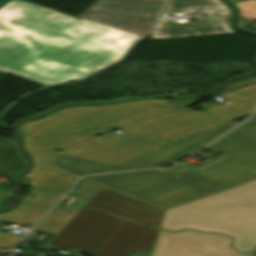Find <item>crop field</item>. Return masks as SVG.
Here are the masks:
<instances>
[{
	"mask_svg": "<svg viewBox=\"0 0 256 256\" xmlns=\"http://www.w3.org/2000/svg\"><path fill=\"white\" fill-rule=\"evenodd\" d=\"M158 231L126 220L94 256H124L135 251L153 250Z\"/></svg>",
	"mask_w": 256,
	"mask_h": 256,
	"instance_id": "d1516ede",
	"label": "crop field"
},
{
	"mask_svg": "<svg viewBox=\"0 0 256 256\" xmlns=\"http://www.w3.org/2000/svg\"><path fill=\"white\" fill-rule=\"evenodd\" d=\"M53 149H37L27 153L35 162L25 178L30 179V193L20 203L53 205L78 179L47 166Z\"/></svg>",
	"mask_w": 256,
	"mask_h": 256,
	"instance_id": "3316defc",
	"label": "crop field"
},
{
	"mask_svg": "<svg viewBox=\"0 0 256 256\" xmlns=\"http://www.w3.org/2000/svg\"><path fill=\"white\" fill-rule=\"evenodd\" d=\"M196 168H198V167L190 165V164L185 163V162H182V163H180L178 165H175L171 168H168L166 170H163V169H158V170L161 171V172L170 174L172 176L178 177V176H180L182 174H185V173H187L191 170H194Z\"/></svg>",
	"mask_w": 256,
	"mask_h": 256,
	"instance_id": "bc2a9ffb",
	"label": "crop field"
},
{
	"mask_svg": "<svg viewBox=\"0 0 256 256\" xmlns=\"http://www.w3.org/2000/svg\"><path fill=\"white\" fill-rule=\"evenodd\" d=\"M248 256H250V255H248Z\"/></svg>",
	"mask_w": 256,
	"mask_h": 256,
	"instance_id": "a9b5d70f",
	"label": "crop field"
},
{
	"mask_svg": "<svg viewBox=\"0 0 256 256\" xmlns=\"http://www.w3.org/2000/svg\"><path fill=\"white\" fill-rule=\"evenodd\" d=\"M101 186L83 179L68 195L55 207L57 208H74L84 205Z\"/></svg>",
	"mask_w": 256,
	"mask_h": 256,
	"instance_id": "733c2abd",
	"label": "crop field"
},
{
	"mask_svg": "<svg viewBox=\"0 0 256 256\" xmlns=\"http://www.w3.org/2000/svg\"><path fill=\"white\" fill-rule=\"evenodd\" d=\"M207 12L210 21L178 23L158 21L150 38H177L234 32L228 27L230 10L220 0H168L165 13Z\"/></svg>",
	"mask_w": 256,
	"mask_h": 256,
	"instance_id": "e52e79f7",
	"label": "crop field"
},
{
	"mask_svg": "<svg viewBox=\"0 0 256 256\" xmlns=\"http://www.w3.org/2000/svg\"><path fill=\"white\" fill-rule=\"evenodd\" d=\"M124 221L105 211L83 207L48 245L97 252Z\"/></svg>",
	"mask_w": 256,
	"mask_h": 256,
	"instance_id": "d8731c3e",
	"label": "crop field"
},
{
	"mask_svg": "<svg viewBox=\"0 0 256 256\" xmlns=\"http://www.w3.org/2000/svg\"><path fill=\"white\" fill-rule=\"evenodd\" d=\"M233 3L244 1V0H231Z\"/></svg>",
	"mask_w": 256,
	"mask_h": 256,
	"instance_id": "dafd665d",
	"label": "crop field"
},
{
	"mask_svg": "<svg viewBox=\"0 0 256 256\" xmlns=\"http://www.w3.org/2000/svg\"><path fill=\"white\" fill-rule=\"evenodd\" d=\"M57 210L55 208L37 224L34 230L56 235L61 228L81 209Z\"/></svg>",
	"mask_w": 256,
	"mask_h": 256,
	"instance_id": "4a817a6b",
	"label": "crop field"
},
{
	"mask_svg": "<svg viewBox=\"0 0 256 256\" xmlns=\"http://www.w3.org/2000/svg\"><path fill=\"white\" fill-rule=\"evenodd\" d=\"M137 1H147V2H158V3H164L165 0H137Z\"/></svg>",
	"mask_w": 256,
	"mask_h": 256,
	"instance_id": "92a150f3",
	"label": "crop field"
},
{
	"mask_svg": "<svg viewBox=\"0 0 256 256\" xmlns=\"http://www.w3.org/2000/svg\"><path fill=\"white\" fill-rule=\"evenodd\" d=\"M85 205L136 222L160 227L164 210L102 187Z\"/></svg>",
	"mask_w": 256,
	"mask_h": 256,
	"instance_id": "28ad6ade",
	"label": "crop field"
},
{
	"mask_svg": "<svg viewBox=\"0 0 256 256\" xmlns=\"http://www.w3.org/2000/svg\"><path fill=\"white\" fill-rule=\"evenodd\" d=\"M224 233L232 247L248 253L256 247V180L167 210L160 229Z\"/></svg>",
	"mask_w": 256,
	"mask_h": 256,
	"instance_id": "412701ff",
	"label": "crop field"
},
{
	"mask_svg": "<svg viewBox=\"0 0 256 256\" xmlns=\"http://www.w3.org/2000/svg\"><path fill=\"white\" fill-rule=\"evenodd\" d=\"M231 242L232 239L219 234L160 230L151 256H245L229 247Z\"/></svg>",
	"mask_w": 256,
	"mask_h": 256,
	"instance_id": "5a996713",
	"label": "crop field"
},
{
	"mask_svg": "<svg viewBox=\"0 0 256 256\" xmlns=\"http://www.w3.org/2000/svg\"><path fill=\"white\" fill-rule=\"evenodd\" d=\"M10 1H12V0H0V8H2L4 5L9 3Z\"/></svg>",
	"mask_w": 256,
	"mask_h": 256,
	"instance_id": "214f88e0",
	"label": "crop field"
},
{
	"mask_svg": "<svg viewBox=\"0 0 256 256\" xmlns=\"http://www.w3.org/2000/svg\"><path fill=\"white\" fill-rule=\"evenodd\" d=\"M207 149L226 157L178 178L156 170L86 177L164 210L256 179V114Z\"/></svg>",
	"mask_w": 256,
	"mask_h": 256,
	"instance_id": "ac0d7876",
	"label": "crop field"
},
{
	"mask_svg": "<svg viewBox=\"0 0 256 256\" xmlns=\"http://www.w3.org/2000/svg\"><path fill=\"white\" fill-rule=\"evenodd\" d=\"M152 99L99 107L62 109L19 125L24 150L63 147L197 102Z\"/></svg>",
	"mask_w": 256,
	"mask_h": 256,
	"instance_id": "34b2d1b8",
	"label": "crop field"
},
{
	"mask_svg": "<svg viewBox=\"0 0 256 256\" xmlns=\"http://www.w3.org/2000/svg\"><path fill=\"white\" fill-rule=\"evenodd\" d=\"M239 123L229 121L179 139L155 145L116 165L69 156L59 151L52 158L50 166L57 167L78 177L98 173L160 167L200 146L203 147L211 143Z\"/></svg>",
	"mask_w": 256,
	"mask_h": 256,
	"instance_id": "dd49c442",
	"label": "crop field"
},
{
	"mask_svg": "<svg viewBox=\"0 0 256 256\" xmlns=\"http://www.w3.org/2000/svg\"><path fill=\"white\" fill-rule=\"evenodd\" d=\"M231 102L206 110L214 115L232 120L250 114L256 107V84L221 95Z\"/></svg>",
	"mask_w": 256,
	"mask_h": 256,
	"instance_id": "22f410ed",
	"label": "crop field"
},
{
	"mask_svg": "<svg viewBox=\"0 0 256 256\" xmlns=\"http://www.w3.org/2000/svg\"><path fill=\"white\" fill-rule=\"evenodd\" d=\"M251 254L252 255H256V249Z\"/></svg>",
	"mask_w": 256,
	"mask_h": 256,
	"instance_id": "00972430",
	"label": "crop field"
},
{
	"mask_svg": "<svg viewBox=\"0 0 256 256\" xmlns=\"http://www.w3.org/2000/svg\"><path fill=\"white\" fill-rule=\"evenodd\" d=\"M140 37L13 0L0 9V69L45 85L73 81L116 62Z\"/></svg>",
	"mask_w": 256,
	"mask_h": 256,
	"instance_id": "8a807250",
	"label": "crop field"
},
{
	"mask_svg": "<svg viewBox=\"0 0 256 256\" xmlns=\"http://www.w3.org/2000/svg\"><path fill=\"white\" fill-rule=\"evenodd\" d=\"M82 19L138 35L149 33L156 19L87 13Z\"/></svg>",
	"mask_w": 256,
	"mask_h": 256,
	"instance_id": "5142ce71",
	"label": "crop field"
},
{
	"mask_svg": "<svg viewBox=\"0 0 256 256\" xmlns=\"http://www.w3.org/2000/svg\"><path fill=\"white\" fill-rule=\"evenodd\" d=\"M49 208L19 205L16 209L5 214H0V218L5 221H11L19 224L35 225ZM22 235L13 233H0V248L7 247L21 239Z\"/></svg>",
	"mask_w": 256,
	"mask_h": 256,
	"instance_id": "d9b57169",
	"label": "crop field"
},
{
	"mask_svg": "<svg viewBox=\"0 0 256 256\" xmlns=\"http://www.w3.org/2000/svg\"><path fill=\"white\" fill-rule=\"evenodd\" d=\"M227 122L187 107L61 149L66 154L116 164L150 146Z\"/></svg>",
	"mask_w": 256,
	"mask_h": 256,
	"instance_id": "f4fd0767",
	"label": "crop field"
},
{
	"mask_svg": "<svg viewBox=\"0 0 256 256\" xmlns=\"http://www.w3.org/2000/svg\"><path fill=\"white\" fill-rule=\"evenodd\" d=\"M162 5L128 0H98L86 12L156 18Z\"/></svg>",
	"mask_w": 256,
	"mask_h": 256,
	"instance_id": "cbeb9de0",
	"label": "crop field"
}]
</instances>
